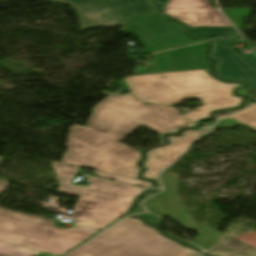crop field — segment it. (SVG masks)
I'll use <instances>...</instances> for the list:
<instances>
[{
  "label": "crop field",
  "instance_id": "obj_8",
  "mask_svg": "<svg viewBox=\"0 0 256 256\" xmlns=\"http://www.w3.org/2000/svg\"><path fill=\"white\" fill-rule=\"evenodd\" d=\"M121 30L139 37L145 46L142 54L196 43L181 40L174 26L154 13L131 17Z\"/></svg>",
  "mask_w": 256,
  "mask_h": 256
},
{
  "label": "crop field",
  "instance_id": "obj_10",
  "mask_svg": "<svg viewBox=\"0 0 256 256\" xmlns=\"http://www.w3.org/2000/svg\"><path fill=\"white\" fill-rule=\"evenodd\" d=\"M201 48L199 44L151 54L157 64L137 67L134 75L204 69L203 62L198 59Z\"/></svg>",
  "mask_w": 256,
  "mask_h": 256
},
{
  "label": "crop field",
  "instance_id": "obj_7",
  "mask_svg": "<svg viewBox=\"0 0 256 256\" xmlns=\"http://www.w3.org/2000/svg\"><path fill=\"white\" fill-rule=\"evenodd\" d=\"M159 177L165 189L159 195L146 200L144 206L158 216L166 215L186 228L199 231V235L191 242L204 249L218 242L222 233L193 223L182 202L176 195L174 176L161 173Z\"/></svg>",
  "mask_w": 256,
  "mask_h": 256
},
{
  "label": "crop field",
  "instance_id": "obj_1",
  "mask_svg": "<svg viewBox=\"0 0 256 256\" xmlns=\"http://www.w3.org/2000/svg\"><path fill=\"white\" fill-rule=\"evenodd\" d=\"M195 125L171 107L146 105L130 93H112L94 107L86 127L70 128L61 162L139 179L141 152L120 140L138 126L163 135Z\"/></svg>",
  "mask_w": 256,
  "mask_h": 256
},
{
  "label": "crop field",
  "instance_id": "obj_6",
  "mask_svg": "<svg viewBox=\"0 0 256 256\" xmlns=\"http://www.w3.org/2000/svg\"><path fill=\"white\" fill-rule=\"evenodd\" d=\"M52 167L60 181L58 192L131 207L137 196L150 190L91 177L86 178V181L91 182L87 187L73 186L71 181L79 167L57 162H53Z\"/></svg>",
  "mask_w": 256,
  "mask_h": 256
},
{
  "label": "crop field",
  "instance_id": "obj_11",
  "mask_svg": "<svg viewBox=\"0 0 256 256\" xmlns=\"http://www.w3.org/2000/svg\"><path fill=\"white\" fill-rule=\"evenodd\" d=\"M164 12L193 26H231L208 0H169Z\"/></svg>",
  "mask_w": 256,
  "mask_h": 256
},
{
  "label": "crop field",
  "instance_id": "obj_22",
  "mask_svg": "<svg viewBox=\"0 0 256 256\" xmlns=\"http://www.w3.org/2000/svg\"><path fill=\"white\" fill-rule=\"evenodd\" d=\"M159 190H160V189H156V191L150 192V193L146 194L145 196H143L141 199H139L138 202H137V204H136V206H135V208H134V210L132 211V213L135 214V213H140V212L145 211V210L143 209V207L140 206L141 201H142L144 198H146V197H148V196H150V195H152V194H155V193L159 192Z\"/></svg>",
  "mask_w": 256,
  "mask_h": 256
},
{
  "label": "crop field",
  "instance_id": "obj_27",
  "mask_svg": "<svg viewBox=\"0 0 256 256\" xmlns=\"http://www.w3.org/2000/svg\"><path fill=\"white\" fill-rule=\"evenodd\" d=\"M130 54H134V53H137V51L135 49H131L128 51Z\"/></svg>",
  "mask_w": 256,
  "mask_h": 256
},
{
  "label": "crop field",
  "instance_id": "obj_17",
  "mask_svg": "<svg viewBox=\"0 0 256 256\" xmlns=\"http://www.w3.org/2000/svg\"><path fill=\"white\" fill-rule=\"evenodd\" d=\"M39 251H34L0 242V256H36Z\"/></svg>",
  "mask_w": 256,
  "mask_h": 256
},
{
  "label": "crop field",
  "instance_id": "obj_24",
  "mask_svg": "<svg viewBox=\"0 0 256 256\" xmlns=\"http://www.w3.org/2000/svg\"><path fill=\"white\" fill-rule=\"evenodd\" d=\"M164 233H165L167 236H170V237H172V238L178 239V240H180L182 243H185V244H187V245H189V246H191V247H194V248H196V249L202 251L201 249H199V248L193 246L192 244H190V243H188V242H186V241L181 240L180 238H178V237H176V236H174V235H172V234H170V233H168V232H164Z\"/></svg>",
  "mask_w": 256,
  "mask_h": 256
},
{
  "label": "crop field",
  "instance_id": "obj_26",
  "mask_svg": "<svg viewBox=\"0 0 256 256\" xmlns=\"http://www.w3.org/2000/svg\"><path fill=\"white\" fill-rule=\"evenodd\" d=\"M156 1H157L158 5H159L160 9L164 10L168 0H156Z\"/></svg>",
  "mask_w": 256,
  "mask_h": 256
},
{
  "label": "crop field",
  "instance_id": "obj_5",
  "mask_svg": "<svg viewBox=\"0 0 256 256\" xmlns=\"http://www.w3.org/2000/svg\"><path fill=\"white\" fill-rule=\"evenodd\" d=\"M78 12L82 30L123 26L131 16L158 11L152 0H56Z\"/></svg>",
  "mask_w": 256,
  "mask_h": 256
},
{
  "label": "crop field",
  "instance_id": "obj_25",
  "mask_svg": "<svg viewBox=\"0 0 256 256\" xmlns=\"http://www.w3.org/2000/svg\"><path fill=\"white\" fill-rule=\"evenodd\" d=\"M250 104H252V102H250V101H247L246 102V107L248 106V105H250ZM245 108V107H244ZM239 110H241V109H239ZM235 111H238V110H232V111H226L225 113H227V114H230V113H233V112H235ZM220 113H222V112H219V113H216L215 114V120H218L219 119V117L217 116L218 114H220Z\"/></svg>",
  "mask_w": 256,
  "mask_h": 256
},
{
  "label": "crop field",
  "instance_id": "obj_19",
  "mask_svg": "<svg viewBox=\"0 0 256 256\" xmlns=\"http://www.w3.org/2000/svg\"><path fill=\"white\" fill-rule=\"evenodd\" d=\"M225 15L233 22V24L240 28L241 20L251 15V9H236V10H222Z\"/></svg>",
  "mask_w": 256,
  "mask_h": 256
},
{
  "label": "crop field",
  "instance_id": "obj_13",
  "mask_svg": "<svg viewBox=\"0 0 256 256\" xmlns=\"http://www.w3.org/2000/svg\"><path fill=\"white\" fill-rule=\"evenodd\" d=\"M130 208L80 197L70 218L78 226L100 229L126 214Z\"/></svg>",
  "mask_w": 256,
  "mask_h": 256
},
{
  "label": "crop field",
  "instance_id": "obj_15",
  "mask_svg": "<svg viewBox=\"0 0 256 256\" xmlns=\"http://www.w3.org/2000/svg\"><path fill=\"white\" fill-rule=\"evenodd\" d=\"M236 126H245L249 128V130L256 132V104L242 112L233 114L226 119L219 121L216 125L218 128H230Z\"/></svg>",
  "mask_w": 256,
  "mask_h": 256
},
{
  "label": "crop field",
  "instance_id": "obj_16",
  "mask_svg": "<svg viewBox=\"0 0 256 256\" xmlns=\"http://www.w3.org/2000/svg\"><path fill=\"white\" fill-rule=\"evenodd\" d=\"M190 37L205 34L210 37H241L232 27H197L187 29Z\"/></svg>",
  "mask_w": 256,
  "mask_h": 256
},
{
  "label": "crop field",
  "instance_id": "obj_20",
  "mask_svg": "<svg viewBox=\"0 0 256 256\" xmlns=\"http://www.w3.org/2000/svg\"><path fill=\"white\" fill-rule=\"evenodd\" d=\"M156 14H157L158 16H160V17L166 19L167 21L171 22V23L175 26L176 31H177L178 35L181 37V39L189 40V39H187V38L182 34V32H181V30H182L183 28H185L182 24H179V23L174 22L172 19H170L169 17L163 15V14L160 13V12H156ZM205 40H206V38L201 37V38H199V39H197V40H191V41L202 42V41H205Z\"/></svg>",
  "mask_w": 256,
  "mask_h": 256
},
{
  "label": "crop field",
  "instance_id": "obj_2",
  "mask_svg": "<svg viewBox=\"0 0 256 256\" xmlns=\"http://www.w3.org/2000/svg\"><path fill=\"white\" fill-rule=\"evenodd\" d=\"M208 70L132 76L125 82L133 95L145 102L174 105L183 98H203L199 101L203 106L184 115L197 122L214 110L239 107L243 100L233 95L241 84L223 83L211 77Z\"/></svg>",
  "mask_w": 256,
  "mask_h": 256
},
{
  "label": "crop field",
  "instance_id": "obj_4",
  "mask_svg": "<svg viewBox=\"0 0 256 256\" xmlns=\"http://www.w3.org/2000/svg\"><path fill=\"white\" fill-rule=\"evenodd\" d=\"M6 181L0 180V192ZM57 221L0 209V241L62 256L97 231L53 226Z\"/></svg>",
  "mask_w": 256,
  "mask_h": 256
},
{
  "label": "crop field",
  "instance_id": "obj_9",
  "mask_svg": "<svg viewBox=\"0 0 256 256\" xmlns=\"http://www.w3.org/2000/svg\"><path fill=\"white\" fill-rule=\"evenodd\" d=\"M209 57L216 60L214 73L226 80H242L256 92V54H237L230 46L243 39H213ZM235 44V43H234Z\"/></svg>",
  "mask_w": 256,
  "mask_h": 256
},
{
  "label": "crop field",
  "instance_id": "obj_3",
  "mask_svg": "<svg viewBox=\"0 0 256 256\" xmlns=\"http://www.w3.org/2000/svg\"><path fill=\"white\" fill-rule=\"evenodd\" d=\"M140 219L126 218L68 256H195Z\"/></svg>",
  "mask_w": 256,
  "mask_h": 256
},
{
  "label": "crop field",
  "instance_id": "obj_14",
  "mask_svg": "<svg viewBox=\"0 0 256 256\" xmlns=\"http://www.w3.org/2000/svg\"><path fill=\"white\" fill-rule=\"evenodd\" d=\"M206 253L215 256H256V249L232 237L222 235L221 239Z\"/></svg>",
  "mask_w": 256,
  "mask_h": 256
},
{
  "label": "crop field",
  "instance_id": "obj_28",
  "mask_svg": "<svg viewBox=\"0 0 256 256\" xmlns=\"http://www.w3.org/2000/svg\"><path fill=\"white\" fill-rule=\"evenodd\" d=\"M201 256H203V255H201Z\"/></svg>",
  "mask_w": 256,
  "mask_h": 256
},
{
  "label": "crop field",
  "instance_id": "obj_23",
  "mask_svg": "<svg viewBox=\"0 0 256 256\" xmlns=\"http://www.w3.org/2000/svg\"><path fill=\"white\" fill-rule=\"evenodd\" d=\"M208 44H209V42L202 43L203 48H202V50L200 52V56H199V59L205 63V69L210 68V64H211V61L204 58V54H205Z\"/></svg>",
  "mask_w": 256,
  "mask_h": 256
},
{
  "label": "crop field",
  "instance_id": "obj_18",
  "mask_svg": "<svg viewBox=\"0 0 256 256\" xmlns=\"http://www.w3.org/2000/svg\"><path fill=\"white\" fill-rule=\"evenodd\" d=\"M94 173H95V175H94L95 177L106 178V179L123 182V183H128V184H133V185H137V186H141V187H152V183L142 181V180L127 178V177L113 175V174L104 173V172H100V171H94Z\"/></svg>",
  "mask_w": 256,
  "mask_h": 256
},
{
  "label": "crop field",
  "instance_id": "obj_12",
  "mask_svg": "<svg viewBox=\"0 0 256 256\" xmlns=\"http://www.w3.org/2000/svg\"><path fill=\"white\" fill-rule=\"evenodd\" d=\"M208 128L209 127H206L198 131L186 130L182 133L181 137L169 136V145L146 152L147 158L143 165L147 170L143 172L142 177L145 179H153L157 187H160L159 182L155 179L157 172L170 164L193 140L202 135L201 133Z\"/></svg>",
  "mask_w": 256,
  "mask_h": 256
},
{
  "label": "crop field",
  "instance_id": "obj_21",
  "mask_svg": "<svg viewBox=\"0 0 256 256\" xmlns=\"http://www.w3.org/2000/svg\"><path fill=\"white\" fill-rule=\"evenodd\" d=\"M134 217H142L145 218L147 220L148 223H152L154 225H157L158 227H160L161 221L162 219L158 218L157 216L150 214V213H146V214H140V215H134Z\"/></svg>",
  "mask_w": 256,
  "mask_h": 256
}]
</instances>
